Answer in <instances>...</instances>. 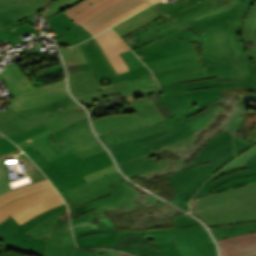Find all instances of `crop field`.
<instances>
[{
  "label": "crop field",
  "instance_id": "bc2a9ffb",
  "mask_svg": "<svg viewBox=\"0 0 256 256\" xmlns=\"http://www.w3.org/2000/svg\"><path fill=\"white\" fill-rule=\"evenodd\" d=\"M39 89L38 91L16 97V100L10 101V104L16 112H19L39 107L68 96L64 80L40 87Z\"/></svg>",
  "mask_w": 256,
  "mask_h": 256
},
{
  "label": "crop field",
  "instance_id": "92a150f3",
  "mask_svg": "<svg viewBox=\"0 0 256 256\" xmlns=\"http://www.w3.org/2000/svg\"><path fill=\"white\" fill-rule=\"evenodd\" d=\"M47 22L50 24V29L57 34L52 37L60 44L76 45L92 37L81 26H74V23L63 12L47 19Z\"/></svg>",
  "mask_w": 256,
  "mask_h": 256
},
{
  "label": "crop field",
  "instance_id": "c035e120",
  "mask_svg": "<svg viewBox=\"0 0 256 256\" xmlns=\"http://www.w3.org/2000/svg\"><path fill=\"white\" fill-rule=\"evenodd\" d=\"M246 165L249 166L251 169L234 171L219 177L217 180L211 182L210 185L207 186L199 196L212 192L216 187H218L219 185L223 184L226 181H230L232 179H237L240 177L256 175V157H254Z\"/></svg>",
  "mask_w": 256,
  "mask_h": 256
},
{
  "label": "crop field",
  "instance_id": "412701ff",
  "mask_svg": "<svg viewBox=\"0 0 256 256\" xmlns=\"http://www.w3.org/2000/svg\"><path fill=\"white\" fill-rule=\"evenodd\" d=\"M234 158L232 134L223 130L218 132L189 162L194 167L167 174L170 182L164 183L166 189H173L177 195L169 202L189 211L188 201L194 192L211 175Z\"/></svg>",
  "mask_w": 256,
  "mask_h": 256
},
{
  "label": "crop field",
  "instance_id": "db79e9e6",
  "mask_svg": "<svg viewBox=\"0 0 256 256\" xmlns=\"http://www.w3.org/2000/svg\"><path fill=\"white\" fill-rule=\"evenodd\" d=\"M234 141H235V148H236L237 156L242 154L244 151L251 148L252 146H254V143L243 140L237 136H234Z\"/></svg>",
  "mask_w": 256,
  "mask_h": 256
},
{
  "label": "crop field",
  "instance_id": "0fb4a251",
  "mask_svg": "<svg viewBox=\"0 0 256 256\" xmlns=\"http://www.w3.org/2000/svg\"><path fill=\"white\" fill-rule=\"evenodd\" d=\"M254 156H256V146L236 158L234 161H232L230 164H228L225 168H223L221 171L231 168V167H236V166H241L245 165L249 160H251Z\"/></svg>",
  "mask_w": 256,
  "mask_h": 256
},
{
  "label": "crop field",
  "instance_id": "c39391a2",
  "mask_svg": "<svg viewBox=\"0 0 256 256\" xmlns=\"http://www.w3.org/2000/svg\"><path fill=\"white\" fill-rule=\"evenodd\" d=\"M246 140L256 143V130L250 132Z\"/></svg>",
  "mask_w": 256,
  "mask_h": 256
},
{
  "label": "crop field",
  "instance_id": "f4fd0767",
  "mask_svg": "<svg viewBox=\"0 0 256 256\" xmlns=\"http://www.w3.org/2000/svg\"><path fill=\"white\" fill-rule=\"evenodd\" d=\"M190 206L209 226L256 220V182L193 199Z\"/></svg>",
  "mask_w": 256,
  "mask_h": 256
},
{
  "label": "crop field",
  "instance_id": "89e229c0",
  "mask_svg": "<svg viewBox=\"0 0 256 256\" xmlns=\"http://www.w3.org/2000/svg\"><path fill=\"white\" fill-rule=\"evenodd\" d=\"M0 25L9 29L8 31H6V33L8 35H10L11 37H13L17 34H26L29 32H34L35 34L37 33V31L33 27H31L28 22L19 26L15 22H13L1 15H0Z\"/></svg>",
  "mask_w": 256,
  "mask_h": 256
},
{
  "label": "crop field",
  "instance_id": "120bbe31",
  "mask_svg": "<svg viewBox=\"0 0 256 256\" xmlns=\"http://www.w3.org/2000/svg\"><path fill=\"white\" fill-rule=\"evenodd\" d=\"M158 18L159 16L150 6L110 28L121 38Z\"/></svg>",
  "mask_w": 256,
  "mask_h": 256
},
{
  "label": "crop field",
  "instance_id": "ac0d7876",
  "mask_svg": "<svg viewBox=\"0 0 256 256\" xmlns=\"http://www.w3.org/2000/svg\"><path fill=\"white\" fill-rule=\"evenodd\" d=\"M205 108L183 119L195 134L119 165L122 171L130 178L138 175L148 179L192 167L184 161L219 130L233 134L241 112L240 108L229 105L223 97Z\"/></svg>",
  "mask_w": 256,
  "mask_h": 256
},
{
  "label": "crop field",
  "instance_id": "d9b57169",
  "mask_svg": "<svg viewBox=\"0 0 256 256\" xmlns=\"http://www.w3.org/2000/svg\"><path fill=\"white\" fill-rule=\"evenodd\" d=\"M125 180L118 171L98 178L86 184H82L73 189L61 193V196L66 201L68 208L77 207L94 199L102 198L113 194L114 191L110 185H114Z\"/></svg>",
  "mask_w": 256,
  "mask_h": 256
},
{
  "label": "crop field",
  "instance_id": "dd49c442",
  "mask_svg": "<svg viewBox=\"0 0 256 256\" xmlns=\"http://www.w3.org/2000/svg\"><path fill=\"white\" fill-rule=\"evenodd\" d=\"M77 106L69 96L24 112L16 113L13 108L0 111V132L7 136L42 124L54 132L87 116L85 112L71 110Z\"/></svg>",
  "mask_w": 256,
  "mask_h": 256
},
{
  "label": "crop field",
  "instance_id": "7b73153f",
  "mask_svg": "<svg viewBox=\"0 0 256 256\" xmlns=\"http://www.w3.org/2000/svg\"><path fill=\"white\" fill-rule=\"evenodd\" d=\"M221 93L229 104L240 107L239 96L236 90L221 91Z\"/></svg>",
  "mask_w": 256,
  "mask_h": 256
},
{
  "label": "crop field",
  "instance_id": "e1f06a70",
  "mask_svg": "<svg viewBox=\"0 0 256 256\" xmlns=\"http://www.w3.org/2000/svg\"><path fill=\"white\" fill-rule=\"evenodd\" d=\"M98 89L91 71L70 74V90L75 97L89 94Z\"/></svg>",
  "mask_w": 256,
  "mask_h": 256
},
{
  "label": "crop field",
  "instance_id": "730fd06b",
  "mask_svg": "<svg viewBox=\"0 0 256 256\" xmlns=\"http://www.w3.org/2000/svg\"><path fill=\"white\" fill-rule=\"evenodd\" d=\"M183 94L185 95L186 99L191 101L195 106L172 118L167 119L164 122L165 124L194 115L205 109L203 108L204 106L222 97L218 87L184 91Z\"/></svg>",
  "mask_w": 256,
  "mask_h": 256
},
{
  "label": "crop field",
  "instance_id": "e1d0b9f6",
  "mask_svg": "<svg viewBox=\"0 0 256 256\" xmlns=\"http://www.w3.org/2000/svg\"><path fill=\"white\" fill-rule=\"evenodd\" d=\"M9 185L3 165V161H0V194L9 191Z\"/></svg>",
  "mask_w": 256,
  "mask_h": 256
},
{
  "label": "crop field",
  "instance_id": "d23c7cc5",
  "mask_svg": "<svg viewBox=\"0 0 256 256\" xmlns=\"http://www.w3.org/2000/svg\"><path fill=\"white\" fill-rule=\"evenodd\" d=\"M163 127H166V125L164 123H161L157 126L149 127L146 129L119 132V133H111V134H101L100 137L102 138V140L104 142L119 141V140L135 138L140 135L148 134L150 132H153V131L158 130Z\"/></svg>",
  "mask_w": 256,
  "mask_h": 256
},
{
  "label": "crop field",
  "instance_id": "ae633e8c",
  "mask_svg": "<svg viewBox=\"0 0 256 256\" xmlns=\"http://www.w3.org/2000/svg\"><path fill=\"white\" fill-rule=\"evenodd\" d=\"M246 168H249V167H247V166L245 165V166H242V167L231 168V169H227V170H225V171H223V172H221V173H218V174L214 175L213 177H211V178L202 186V188L197 192V194H196L193 198L197 197V196L203 191V189H204L207 185H209V183H210L211 181L217 179L219 176H221V175H223V174H225V173H227V172H229V171L240 170V169H246Z\"/></svg>",
  "mask_w": 256,
  "mask_h": 256
},
{
  "label": "crop field",
  "instance_id": "ade564c9",
  "mask_svg": "<svg viewBox=\"0 0 256 256\" xmlns=\"http://www.w3.org/2000/svg\"><path fill=\"white\" fill-rule=\"evenodd\" d=\"M255 2L256 0H244L243 5L250 8Z\"/></svg>",
  "mask_w": 256,
  "mask_h": 256
},
{
  "label": "crop field",
  "instance_id": "eef30255",
  "mask_svg": "<svg viewBox=\"0 0 256 256\" xmlns=\"http://www.w3.org/2000/svg\"><path fill=\"white\" fill-rule=\"evenodd\" d=\"M221 256H249L256 254V233L217 241Z\"/></svg>",
  "mask_w": 256,
  "mask_h": 256
},
{
  "label": "crop field",
  "instance_id": "9d1cf04e",
  "mask_svg": "<svg viewBox=\"0 0 256 256\" xmlns=\"http://www.w3.org/2000/svg\"><path fill=\"white\" fill-rule=\"evenodd\" d=\"M242 109H243V112L237 123V127L234 134L245 139L248 133L251 131L252 126L244 124L247 109H244V108Z\"/></svg>",
  "mask_w": 256,
  "mask_h": 256
},
{
  "label": "crop field",
  "instance_id": "5d738f31",
  "mask_svg": "<svg viewBox=\"0 0 256 256\" xmlns=\"http://www.w3.org/2000/svg\"><path fill=\"white\" fill-rule=\"evenodd\" d=\"M66 211L67 209L46 219L42 223L38 224L37 226L26 232L27 235L31 238H49L58 216L65 213Z\"/></svg>",
  "mask_w": 256,
  "mask_h": 256
},
{
  "label": "crop field",
  "instance_id": "c5b07064",
  "mask_svg": "<svg viewBox=\"0 0 256 256\" xmlns=\"http://www.w3.org/2000/svg\"><path fill=\"white\" fill-rule=\"evenodd\" d=\"M125 99L127 100L128 103L136 102V100H135V98H134L133 95H132V96H129V97H126Z\"/></svg>",
  "mask_w": 256,
  "mask_h": 256
},
{
  "label": "crop field",
  "instance_id": "447ae74e",
  "mask_svg": "<svg viewBox=\"0 0 256 256\" xmlns=\"http://www.w3.org/2000/svg\"><path fill=\"white\" fill-rule=\"evenodd\" d=\"M254 181H256V176L241 178V179H238V180H232L230 182H227V183L221 185L220 187L215 189L212 193L218 192V191H221V190H224V189H228V188H232V187L248 184V183L254 182Z\"/></svg>",
  "mask_w": 256,
  "mask_h": 256
},
{
  "label": "crop field",
  "instance_id": "d8731c3e",
  "mask_svg": "<svg viewBox=\"0 0 256 256\" xmlns=\"http://www.w3.org/2000/svg\"><path fill=\"white\" fill-rule=\"evenodd\" d=\"M75 240L79 247L121 250L137 256H182L172 242L156 246L154 241L143 240V235L119 236L116 229L78 237Z\"/></svg>",
  "mask_w": 256,
  "mask_h": 256
},
{
  "label": "crop field",
  "instance_id": "ae1a2a85",
  "mask_svg": "<svg viewBox=\"0 0 256 256\" xmlns=\"http://www.w3.org/2000/svg\"><path fill=\"white\" fill-rule=\"evenodd\" d=\"M80 47L97 82L115 76L93 39L80 44Z\"/></svg>",
  "mask_w": 256,
  "mask_h": 256
},
{
  "label": "crop field",
  "instance_id": "5a996713",
  "mask_svg": "<svg viewBox=\"0 0 256 256\" xmlns=\"http://www.w3.org/2000/svg\"><path fill=\"white\" fill-rule=\"evenodd\" d=\"M168 127L145 136L120 142L105 143L114 154L118 164L168 145L193 134L189 126L181 119L167 124Z\"/></svg>",
  "mask_w": 256,
  "mask_h": 256
},
{
  "label": "crop field",
  "instance_id": "0f1d7ab4",
  "mask_svg": "<svg viewBox=\"0 0 256 256\" xmlns=\"http://www.w3.org/2000/svg\"><path fill=\"white\" fill-rule=\"evenodd\" d=\"M114 171H116V168L114 167V165H112L110 167H107V168L102 169L100 171H97L95 173L84 176V178L86 179L87 182H89V181L94 180V179H96L98 177H101L103 175H108V174H110Z\"/></svg>",
  "mask_w": 256,
  "mask_h": 256
},
{
  "label": "crop field",
  "instance_id": "1d83c4d3",
  "mask_svg": "<svg viewBox=\"0 0 256 256\" xmlns=\"http://www.w3.org/2000/svg\"><path fill=\"white\" fill-rule=\"evenodd\" d=\"M119 0H83L63 11L76 25Z\"/></svg>",
  "mask_w": 256,
  "mask_h": 256
},
{
  "label": "crop field",
  "instance_id": "00972430",
  "mask_svg": "<svg viewBox=\"0 0 256 256\" xmlns=\"http://www.w3.org/2000/svg\"><path fill=\"white\" fill-rule=\"evenodd\" d=\"M118 74L129 71L119 53L130 50L110 29L95 36ZM110 50V51H108Z\"/></svg>",
  "mask_w": 256,
  "mask_h": 256
},
{
  "label": "crop field",
  "instance_id": "25e5ab78",
  "mask_svg": "<svg viewBox=\"0 0 256 256\" xmlns=\"http://www.w3.org/2000/svg\"><path fill=\"white\" fill-rule=\"evenodd\" d=\"M52 186V184L48 181V179L34 183V184H30V185H26L17 189H13L9 192H6L2 195H0V204L13 199L15 197L36 191V190H40L46 187Z\"/></svg>",
  "mask_w": 256,
  "mask_h": 256
},
{
  "label": "crop field",
  "instance_id": "d3111659",
  "mask_svg": "<svg viewBox=\"0 0 256 256\" xmlns=\"http://www.w3.org/2000/svg\"><path fill=\"white\" fill-rule=\"evenodd\" d=\"M74 237L115 229L108 217L99 219L95 210L71 219Z\"/></svg>",
  "mask_w": 256,
  "mask_h": 256
},
{
  "label": "crop field",
  "instance_id": "733c2abd",
  "mask_svg": "<svg viewBox=\"0 0 256 256\" xmlns=\"http://www.w3.org/2000/svg\"><path fill=\"white\" fill-rule=\"evenodd\" d=\"M43 256H94V250L76 248L68 214L65 213L58 218L50 239H46Z\"/></svg>",
  "mask_w": 256,
  "mask_h": 256
},
{
  "label": "crop field",
  "instance_id": "425ffa30",
  "mask_svg": "<svg viewBox=\"0 0 256 256\" xmlns=\"http://www.w3.org/2000/svg\"><path fill=\"white\" fill-rule=\"evenodd\" d=\"M159 97L163 100L167 109L172 113L173 116L193 106L192 103L188 102L185 99L183 94L166 95Z\"/></svg>",
  "mask_w": 256,
  "mask_h": 256
},
{
  "label": "crop field",
  "instance_id": "a9b5d70f",
  "mask_svg": "<svg viewBox=\"0 0 256 256\" xmlns=\"http://www.w3.org/2000/svg\"><path fill=\"white\" fill-rule=\"evenodd\" d=\"M83 160L88 162L93 167L88 168L83 171H80V172H77V173H74L72 175L60 178L58 180L52 181V183L58 189L59 193L65 191V190H68L72 187H75L77 185H80L82 183H85L86 181L84 180V178L82 176L92 173L94 171L100 170L102 168H105V167L113 164L109 154L106 151H104L100 154L94 155V156L87 157Z\"/></svg>",
  "mask_w": 256,
  "mask_h": 256
},
{
  "label": "crop field",
  "instance_id": "28ad6ade",
  "mask_svg": "<svg viewBox=\"0 0 256 256\" xmlns=\"http://www.w3.org/2000/svg\"><path fill=\"white\" fill-rule=\"evenodd\" d=\"M129 105L135 114H120L93 120L97 133L147 127L172 116L161 99Z\"/></svg>",
  "mask_w": 256,
  "mask_h": 256
},
{
  "label": "crop field",
  "instance_id": "c21b1889",
  "mask_svg": "<svg viewBox=\"0 0 256 256\" xmlns=\"http://www.w3.org/2000/svg\"><path fill=\"white\" fill-rule=\"evenodd\" d=\"M217 240L229 238L239 234L256 232V222L229 225L212 229Z\"/></svg>",
  "mask_w": 256,
  "mask_h": 256
},
{
  "label": "crop field",
  "instance_id": "214f88e0",
  "mask_svg": "<svg viewBox=\"0 0 256 256\" xmlns=\"http://www.w3.org/2000/svg\"><path fill=\"white\" fill-rule=\"evenodd\" d=\"M94 138L95 137L89 126L88 118L86 117L54 132V135L49 136L46 139L56 149L64 154L65 152H63L61 149L71 147Z\"/></svg>",
  "mask_w": 256,
  "mask_h": 256
},
{
  "label": "crop field",
  "instance_id": "3316defc",
  "mask_svg": "<svg viewBox=\"0 0 256 256\" xmlns=\"http://www.w3.org/2000/svg\"><path fill=\"white\" fill-rule=\"evenodd\" d=\"M123 234H144L156 245L172 241L183 256H217L216 248L201 224L185 228L154 231H118Z\"/></svg>",
  "mask_w": 256,
  "mask_h": 256
},
{
  "label": "crop field",
  "instance_id": "bd1437ed",
  "mask_svg": "<svg viewBox=\"0 0 256 256\" xmlns=\"http://www.w3.org/2000/svg\"><path fill=\"white\" fill-rule=\"evenodd\" d=\"M0 76L14 95V97L38 90L33 86L16 63L6 67Z\"/></svg>",
  "mask_w": 256,
  "mask_h": 256
},
{
  "label": "crop field",
  "instance_id": "4a817a6b",
  "mask_svg": "<svg viewBox=\"0 0 256 256\" xmlns=\"http://www.w3.org/2000/svg\"><path fill=\"white\" fill-rule=\"evenodd\" d=\"M130 214L133 215L131 216L132 219L124 214V218H122L123 223L116 222V225L118 227H130L134 229H146L152 226L173 227V225L166 218L182 214V212L160 201L148 209Z\"/></svg>",
  "mask_w": 256,
  "mask_h": 256
},
{
  "label": "crop field",
  "instance_id": "78b8030e",
  "mask_svg": "<svg viewBox=\"0 0 256 256\" xmlns=\"http://www.w3.org/2000/svg\"><path fill=\"white\" fill-rule=\"evenodd\" d=\"M18 147L6 137L0 139V154L14 151Z\"/></svg>",
  "mask_w": 256,
  "mask_h": 256
},
{
  "label": "crop field",
  "instance_id": "5142ce71",
  "mask_svg": "<svg viewBox=\"0 0 256 256\" xmlns=\"http://www.w3.org/2000/svg\"><path fill=\"white\" fill-rule=\"evenodd\" d=\"M48 144L59 156L46 161L36 151H34L29 145L22 148V150L31 158V160L48 176L50 181L57 178L69 175L71 173L83 170L91 167L82 159L76 157L71 152L62 155L56 150L45 138L42 139Z\"/></svg>",
  "mask_w": 256,
  "mask_h": 256
},
{
  "label": "crop field",
  "instance_id": "03da06ac",
  "mask_svg": "<svg viewBox=\"0 0 256 256\" xmlns=\"http://www.w3.org/2000/svg\"><path fill=\"white\" fill-rule=\"evenodd\" d=\"M52 134L53 133L50 130H47L35 137L19 142L17 143V145L21 148L29 144L40 155H42L45 159L48 160L50 158L57 156V154L49 146H47L41 139Z\"/></svg>",
  "mask_w": 256,
  "mask_h": 256
},
{
  "label": "crop field",
  "instance_id": "750c4746",
  "mask_svg": "<svg viewBox=\"0 0 256 256\" xmlns=\"http://www.w3.org/2000/svg\"><path fill=\"white\" fill-rule=\"evenodd\" d=\"M146 0H122L80 23L88 32Z\"/></svg>",
  "mask_w": 256,
  "mask_h": 256
},
{
  "label": "crop field",
  "instance_id": "4177f3b9",
  "mask_svg": "<svg viewBox=\"0 0 256 256\" xmlns=\"http://www.w3.org/2000/svg\"><path fill=\"white\" fill-rule=\"evenodd\" d=\"M40 2V4H38ZM44 8V0H0V14L17 22ZM5 28L0 26V32Z\"/></svg>",
  "mask_w": 256,
  "mask_h": 256
},
{
  "label": "crop field",
  "instance_id": "7312dd0a",
  "mask_svg": "<svg viewBox=\"0 0 256 256\" xmlns=\"http://www.w3.org/2000/svg\"><path fill=\"white\" fill-rule=\"evenodd\" d=\"M1 41V40H0Z\"/></svg>",
  "mask_w": 256,
  "mask_h": 256
},
{
  "label": "crop field",
  "instance_id": "c3a83c6f",
  "mask_svg": "<svg viewBox=\"0 0 256 256\" xmlns=\"http://www.w3.org/2000/svg\"><path fill=\"white\" fill-rule=\"evenodd\" d=\"M156 1H160V0H149V3L152 4V3L156 2Z\"/></svg>",
  "mask_w": 256,
  "mask_h": 256
},
{
  "label": "crop field",
  "instance_id": "0765c3eb",
  "mask_svg": "<svg viewBox=\"0 0 256 256\" xmlns=\"http://www.w3.org/2000/svg\"><path fill=\"white\" fill-rule=\"evenodd\" d=\"M173 223L177 228H180L184 226L198 224L199 222L183 214V215L173 217Z\"/></svg>",
  "mask_w": 256,
  "mask_h": 256
},
{
  "label": "crop field",
  "instance_id": "180be81f",
  "mask_svg": "<svg viewBox=\"0 0 256 256\" xmlns=\"http://www.w3.org/2000/svg\"><path fill=\"white\" fill-rule=\"evenodd\" d=\"M256 256V255H255Z\"/></svg>",
  "mask_w": 256,
  "mask_h": 256
},
{
  "label": "crop field",
  "instance_id": "34b2d1b8",
  "mask_svg": "<svg viewBox=\"0 0 256 256\" xmlns=\"http://www.w3.org/2000/svg\"><path fill=\"white\" fill-rule=\"evenodd\" d=\"M151 6L160 17L164 15L178 30L201 22L229 20L232 46L237 57L246 51L241 24L249 9L237 0H179Z\"/></svg>",
  "mask_w": 256,
  "mask_h": 256
},
{
  "label": "crop field",
  "instance_id": "b80d0937",
  "mask_svg": "<svg viewBox=\"0 0 256 256\" xmlns=\"http://www.w3.org/2000/svg\"><path fill=\"white\" fill-rule=\"evenodd\" d=\"M119 92L122 93L123 97L132 95V92H131L127 82L124 81V82H120V83H117V84L110 85V86L105 87V88H100V90H98V91H96L92 94L77 97V99L81 103L87 104V103L93 102L92 99L99 98V97H104V96H107V95H112V94L119 93Z\"/></svg>",
  "mask_w": 256,
  "mask_h": 256
},
{
  "label": "crop field",
  "instance_id": "0bd39190",
  "mask_svg": "<svg viewBox=\"0 0 256 256\" xmlns=\"http://www.w3.org/2000/svg\"><path fill=\"white\" fill-rule=\"evenodd\" d=\"M68 73L90 70L79 45L73 48H59Z\"/></svg>",
  "mask_w": 256,
  "mask_h": 256
},
{
  "label": "crop field",
  "instance_id": "d1516ede",
  "mask_svg": "<svg viewBox=\"0 0 256 256\" xmlns=\"http://www.w3.org/2000/svg\"><path fill=\"white\" fill-rule=\"evenodd\" d=\"M116 194L87 203L69 211L70 217L80 215L95 209L99 218L107 216V211H115L116 214L137 210V207L148 208L160 201L146 193H140L126 184V180L111 186Z\"/></svg>",
  "mask_w": 256,
  "mask_h": 256
},
{
  "label": "crop field",
  "instance_id": "22f410ed",
  "mask_svg": "<svg viewBox=\"0 0 256 256\" xmlns=\"http://www.w3.org/2000/svg\"><path fill=\"white\" fill-rule=\"evenodd\" d=\"M61 204L64 202L52 186L1 205L0 223L11 215L21 225L40 213Z\"/></svg>",
  "mask_w": 256,
  "mask_h": 256
},
{
  "label": "crop field",
  "instance_id": "b54c1fbb",
  "mask_svg": "<svg viewBox=\"0 0 256 256\" xmlns=\"http://www.w3.org/2000/svg\"><path fill=\"white\" fill-rule=\"evenodd\" d=\"M13 155H15L14 152L7 153V154L0 156V159H3V161H4V165H5V169H6V173H7L9 182L14 181V180L9 179V175H8V171H7V169H9V167L6 166L5 159H8L9 157H12ZM17 158H18L19 163H24L25 169H26V173H24V174H27L29 176V178L32 180V183L46 179V177L34 166L35 164L33 165V163L27 158V156L25 154H19L17 156ZM10 189H11V187H10Z\"/></svg>",
  "mask_w": 256,
  "mask_h": 256
},
{
  "label": "crop field",
  "instance_id": "5866460e",
  "mask_svg": "<svg viewBox=\"0 0 256 256\" xmlns=\"http://www.w3.org/2000/svg\"><path fill=\"white\" fill-rule=\"evenodd\" d=\"M93 39L96 42L99 49L101 50L104 57L106 58V60L108 61V63L110 64V66L112 67L113 71L116 73L113 66L109 62L108 58L106 57L105 53L103 52V50L101 49V47L99 46V44L97 43L94 37ZM121 56L123 57V59L125 60L126 64L128 65L131 71L124 73L122 75H118L116 73L117 76L109 78V81L111 82V84L151 74L148 68L138 60L137 56L132 51L121 53Z\"/></svg>",
  "mask_w": 256,
  "mask_h": 256
},
{
  "label": "crop field",
  "instance_id": "d14b1444",
  "mask_svg": "<svg viewBox=\"0 0 256 256\" xmlns=\"http://www.w3.org/2000/svg\"><path fill=\"white\" fill-rule=\"evenodd\" d=\"M95 256H131V255L112 251V250L95 249Z\"/></svg>",
  "mask_w": 256,
  "mask_h": 256
},
{
  "label": "crop field",
  "instance_id": "1d79db26",
  "mask_svg": "<svg viewBox=\"0 0 256 256\" xmlns=\"http://www.w3.org/2000/svg\"><path fill=\"white\" fill-rule=\"evenodd\" d=\"M47 130V128L42 125L40 127L34 128V129H30V130H26L22 133L19 134H15V135H11V136H7L8 138H10L11 140H13L15 143L22 141L24 139L30 138L32 136H35L43 131Z\"/></svg>",
  "mask_w": 256,
  "mask_h": 256
},
{
  "label": "crop field",
  "instance_id": "e52e79f7",
  "mask_svg": "<svg viewBox=\"0 0 256 256\" xmlns=\"http://www.w3.org/2000/svg\"><path fill=\"white\" fill-rule=\"evenodd\" d=\"M133 51L152 73L201 61L194 44L179 31Z\"/></svg>",
  "mask_w": 256,
  "mask_h": 256
},
{
  "label": "crop field",
  "instance_id": "dbb93151",
  "mask_svg": "<svg viewBox=\"0 0 256 256\" xmlns=\"http://www.w3.org/2000/svg\"><path fill=\"white\" fill-rule=\"evenodd\" d=\"M79 1H81V0H55V1H53L52 6H51L46 18H49L65 9L69 8L70 6L76 4Z\"/></svg>",
  "mask_w": 256,
  "mask_h": 256
},
{
  "label": "crop field",
  "instance_id": "cbeb9de0",
  "mask_svg": "<svg viewBox=\"0 0 256 256\" xmlns=\"http://www.w3.org/2000/svg\"><path fill=\"white\" fill-rule=\"evenodd\" d=\"M66 208L67 207L65 204L53 208L22 224L21 226L10 216L0 224V235L4 242L5 248L42 256L44 253L45 239L28 238L25 232L54 213Z\"/></svg>",
  "mask_w": 256,
  "mask_h": 256
},
{
  "label": "crop field",
  "instance_id": "73cf0c24",
  "mask_svg": "<svg viewBox=\"0 0 256 256\" xmlns=\"http://www.w3.org/2000/svg\"><path fill=\"white\" fill-rule=\"evenodd\" d=\"M104 150L105 149L100 145V143L96 139H94L83 144L64 149L63 151H65L66 153L71 151L76 156L83 159L87 156L100 153Z\"/></svg>",
  "mask_w": 256,
  "mask_h": 256
},
{
  "label": "crop field",
  "instance_id": "dafd665d",
  "mask_svg": "<svg viewBox=\"0 0 256 256\" xmlns=\"http://www.w3.org/2000/svg\"><path fill=\"white\" fill-rule=\"evenodd\" d=\"M177 31V29L166 19H162L157 22H152L139 30L128 34L122 38L131 49H134L140 45L152 42L163 36ZM130 35L135 36V39L128 38Z\"/></svg>",
  "mask_w": 256,
  "mask_h": 256
},
{
  "label": "crop field",
  "instance_id": "fb207236",
  "mask_svg": "<svg viewBox=\"0 0 256 256\" xmlns=\"http://www.w3.org/2000/svg\"><path fill=\"white\" fill-rule=\"evenodd\" d=\"M239 1L243 2V0H239Z\"/></svg>",
  "mask_w": 256,
  "mask_h": 256
},
{
  "label": "crop field",
  "instance_id": "028f5c9d",
  "mask_svg": "<svg viewBox=\"0 0 256 256\" xmlns=\"http://www.w3.org/2000/svg\"><path fill=\"white\" fill-rule=\"evenodd\" d=\"M243 41L256 65V3L251 7L242 24Z\"/></svg>",
  "mask_w": 256,
  "mask_h": 256
},
{
  "label": "crop field",
  "instance_id": "1f2cbd36",
  "mask_svg": "<svg viewBox=\"0 0 256 256\" xmlns=\"http://www.w3.org/2000/svg\"><path fill=\"white\" fill-rule=\"evenodd\" d=\"M148 5H149V3L146 2V3H144V4H142V5L138 6V7H136V8H134V9H132V10H130V11H128V12H126V13H124V14L118 16V17H116V18H114L113 20H111V21H109V22H107V23L101 25L100 27L96 28L95 30H93V31H91V32H89V33L94 36V35H96V34L102 32L103 30L107 29L108 27L112 26L113 24L119 22L120 20L124 19L125 17L129 16L130 14H132V13H134V12H136V11H138V10H140V9H142V8H144V7H146V6H148Z\"/></svg>",
  "mask_w": 256,
  "mask_h": 256
},
{
  "label": "crop field",
  "instance_id": "d32e631a",
  "mask_svg": "<svg viewBox=\"0 0 256 256\" xmlns=\"http://www.w3.org/2000/svg\"><path fill=\"white\" fill-rule=\"evenodd\" d=\"M245 80L246 79L218 82L217 78H214V79H206V80L186 82V83H180V84H169V85H163L160 87L162 90H164L163 95H166V94L181 93V91L183 90L214 87V86H219V88L231 87V86H243Z\"/></svg>",
  "mask_w": 256,
  "mask_h": 256
},
{
  "label": "crop field",
  "instance_id": "8a807250",
  "mask_svg": "<svg viewBox=\"0 0 256 256\" xmlns=\"http://www.w3.org/2000/svg\"><path fill=\"white\" fill-rule=\"evenodd\" d=\"M180 32L195 43L202 62L155 73L160 85L213 77L219 81L247 78L243 90L256 89L255 65L247 52L237 59L231 46L228 21L197 24Z\"/></svg>",
  "mask_w": 256,
  "mask_h": 256
}]
</instances>
